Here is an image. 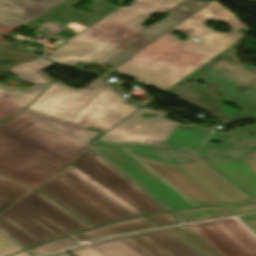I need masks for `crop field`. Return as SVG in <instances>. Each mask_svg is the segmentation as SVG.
<instances>
[{"label":"crop field","instance_id":"36","mask_svg":"<svg viewBox=\"0 0 256 256\" xmlns=\"http://www.w3.org/2000/svg\"><path fill=\"white\" fill-rule=\"evenodd\" d=\"M90 85H92L95 89H110L100 79Z\"/></svg>","mask_w":256,"mask_h":256},{"label":"crop field","instance_id":"10","mask_svg":"<svg viewBox=\"0 0 256 256\" xmlns=\"http://www.w3.org/2000/svg\"><path fill=\"white\" fill-rule=\"evenodd\" d=\"M103 256H198L163 230L90 245Z\"/></svg>","mask_w":256,"mask_h":256},{"label":"crop field","instance_id":"4","mask_svg":"<svg viewBox=\"0 0 256 256\" xmlns=\"http://www.w3.org/2000/svg\"><path fill=\"white\" fill-rule=\"evenodd\" d=\"M183 1L134 0L130 7L117 9L46 58L68 65L91 64L143 29L141 25L153 12L170 11Z\"/></svg>","mask_w":256,"mask_h":256},{"label":"crop field","instance_id":"33","mask_svg":"<svg viewBox=\"0 0 256 256\" xmlns=\"http://www.w3.org/2000/svg\"><path fill=\"white\" fill-rule=\"evenodd\" d=\"M242 161L256 173V151L250 153L246 158L242 159Z\"/></svg>","mask_w":256,"mask_h":256},{"label":"crop field","instance_id":"27","mask_svg":"<svg viewBox=\"0 0 256 256\" xmlns=\"http://www.w3.org/2000/svg\"><path fill=\"white\" fill-rule=\"evenodd\" d=\"M78 244H80V243H78L77 241L73 240L70 237H67V238L55 240L53 242H50V243L41 245L39 247L30 249V251L32 253H34L36 256H38V255L53 252V251H56V250L71 247V246L78 245Z\"/></svg>","mask_w":256,"mask_h":256},{"label":"crop field","instance_id":"22","mask_svg":"<svg viewBox=\"0 0 256 256\" xmlns=\"http://www.w3.org/2000/svg\"><path fill=\"white\" fill-rule=\"evenodd\" d=\"M77 92L61 84H52L28 109L46 114Z\"/></svg>","mask_w":256,"mask_h":256},{"label":"crop field","instance_id":"26","mask_svg":"<svg viewBox=\"0 0 256 256\" xmlns=\"http://www.w3.org/2000/svg\"><path fill=\"white\" fill-rule=\"evenodd\" d=\"M99 91H81L49 112L47 115L69 121L93 98Z\"/></svg>","mask_w":256,"mask_h":256},{"label":"crop field","instance_id":"14","mask_svg":"<svg viewBox=\"0 0 256 256\" xmlns=\"http://www.w3.org/2000/svg\"><path fill=\"white\" fill-rule=\"evenodd\" d=\"M189 226L226 256H256V239L235 219Z\"/></svg>","mask_w":256,"mask_h":256},{"label":"crop field","instance_id":"38","mask_svg":"<svg viewBox=\"0 0 256 256\" xmlns=\"http://www.w3.org/2000/svg\"><path fill=\"white\" fill-rule=\"evenodd\" d=\"M51 256H68V255L66 253L62 252V253L54 254Z\"/></svg>","mask_w":256,"mask_h":256},{"label":"crop field","instance_id":"9","mask_svg":"<svg viewBox=\"0 0 256 256\" xmlns=\"http://www.w3.org/2000/svg\"><path fill=\"white\" fill-rule=\"evenodd\" d=\"M71 165L143 215L165 210L90 151H85Z\"/></svg>","mask_w":256,"mask_h":256},{"label":"crop field","instance_id":"32","mask_svg":"<svg viewBox=\"0 0 256 256\" xmlns=\"http://www.w3.org/2000/svg\"><path fill=\"white\" fill-rule=\"evenodd\" d=\"M68 252L71 253L73 256H101L88 246L69 250Z\"/></svg>","mask_w":256,"mask_h":256},{"label":"crop field","instance_id":"39","mask_svg":"<svg viewBox=\"0 0 256 256\" xmlns=\"http://www.w3.org/2000/svg\"><path fill=\"white\" fill-rule=\"evenodd\" d=\"M118 8H119V7H118ZM116 9H117V8H116ZM116 9H115V10H116ZM113 11H114V10H113ZM113 11H111V12H113ZM111 12H110V13H111ZM110 13H108V14H110ZM108 14H107V15H108ZM107 15H105V16H107ZM105 16H103V17H105ZM103 17H102V18H103ZM102 18H101V19H102ZM99 20H100V19H99ZM96 22H97V21H96ZM94 23H95V22H94ZM94 23H92V24H94ZM92 24H91V25H92ZM91 25H89V26H91ZM89 26H88V27H89ZM88 27H86L85 29H87ZM85 29H83L82 31H84ZM82 31H80L79 33H81ZM79 33H77V34H79Z\"/></svg>","mask_w":256,"mask_h":256},{"label":"crop field","instance_id":"31","mask_svg":"<svg viewBox=\"0 0 256 256\" xmlns=\"http://www.w3.org/2000/svg\"><path fill=\"white\" fill-rule=\"evenodd\" d=\"M200 210H202L210 218H215V217H221V216H228V215L236 214L231 209H226V208H210V207H206V208H202Z\"/></svg>","mask_w":256,"mask_h":256},{"label":"crop field","instance_id":"28","mask_svg":"<svg viewBox=\"0 0 256 256\" xmlns=\"http://www.w3.org/2000/svg\"><path fill=\"white\" fill-rule=\"evenodd\" d=\"M171 212L173 214H175L177 217H179L184 222L209 218L203 212H201L198 208L176 210V211H171Z\"/></svg>","mask_w":256,"mask_h":256},{"label":"crop field","instance_id":"37","mask_svg":"<svg viewBox=\"0 0 256 256\" xmlns=\"http://www.w3.org/2000/svg\"><path fill=\"white\" fill-rule=\"evenodd\" d=\"M12 256H31V255H29L27 252L23 251V252H20L18 254L12 255Z\"/></svg>","mask_w":256,"mask_h":256},{"label":"crop field","instance_id":"15","mask_svg":"<svg viewBox=\"0 0 256 256\" xmlns=\"http://www.w3.org/2000/svg\"><path fill=\"white\" fill-rule=\"evenodd\" d=\"M112 92L100 91L70 121L104 132L138 109L124 104L125 99Z\"/></svg>","mask_w":256,"mask_h":256},{"label":"crop field","instance_id":"35","mask_svg":"<svg viewBox=\"0 0 256 256\" xmlns=\"http://www.w3.org/2000/svg\"><path fill=\"white\" fill-rule=\"evenodd\" d=\"M232 210L235 211L237 214L256 211V203Z\"/></svg>","mask_w":256,"mask_h":256},{"label":"crop field","instance_id":"11","mask_svg":"<svg viewBox=\"0 0 256 256\" xmlns=\"http://www.w3.org/2000/svg\"><path fill=\"white\" fill-rule=\"evenodd\" d=\"M196 206H225L149 145L117 142ZM227 207V206H225Z\"/></svg>","mask_w":256,"mask_h":256},{"label":"crop field","instance_id":"13","mask_svg":"<svg viewBox=\"0 0 256 256\" xmlns=\"http://www.w3.org/2000/svg\"><path fill=\"white\" fill-rule=\"evenodd\" d=\"M209 2L211 1L186 0L171 10L170 15L164 21L153 25L146 31L141 30L91 65H118ZM117 58L121 61H117Z\"/></svg>","mask_w":256,"mask_h":256},{"label":"crop field","instance_id":"29","mask_svg":"<svg viewBox=\"0 0 256 256\" xmlns=\"http://www.w3.org/2000/svg\"><path fill=\"white\" fill-rule=\"evenodd\" d=\"M19 251L23 250L0 234V256H7Z\"/></svg>","mask_w":256,"mask_h":256},{"label":"crop field","instance_id":"8","mask_svg":"<svg viewBox=\"0 0 256 256\" xmlns=\"http://www.w3.org/2000/svg\"><path fill=\"white\" fill-rule=\"evenodd\" d=\"M151 146L228 207L254 202V200L197 158L189 148Z\"/></svg>","mask_w":256,"mask_h":256},{"label":"crop field","instance_id":"16","mask_svg":"<svg viewBox=\"0 0 256 256\" xmlns=\"http://www.w3.org/2000/svg\"><path fill=\"white\" fill-rule=\"evenodd\" d=\"M197 154L256 199V174L240 160L249 153L200 149Z\"/></svg>","mask_w":256,"mask_h":256},{"label":"crop field","instance_id":"6","mask_svg":"<svg viewBox=\"0 0 256 256\" xmlns=\"http://www.w3.org/2000/svg\"><path fill=\"white\" fill-rule=\"evenodd\" d=\"M88 229L92 228L35 190L0 214V231L26 249Z\"/></svg>","mask_w":256,"mask_h":256},{"label":"crop field","instance_id":"34","mask_svg":"<svg viewBox=\"0 0 256 256\" xmlns=\"http://www.w3.org/2000/svg\"><path fill=\"white\" fill-rule=\"evenodd\" d=\"M256 233V215L241 218Z\"/></svg>","mask_w":256,"mask_h":256},{"label":"crop field","instance_id":"7","mask_svg":"<svg viewBox=\"0 0 256 256\" xmlns=\"http://www.w3.org/2000/svg\"><path fill=\"white\" fill-rule=\"evenodd\" d=\"M92 149L168 210L195 206L116 142L98 141Z\"/></svg>","mask_w":256,"mask_h":256},{"label":"crop field","instance_id":"20","mask_svg":"<svg viewBox=\"0 0 256 256\" xmlns=\"http://www.w3.org/2000/svg\"><path fill=\"white\" fill-rule=\"evenodd\" d=\"M151 227H156L153 223L147 220L145 217L132 219L128 221L114 223L102 228L82 232L76 235H73L79 241H90L92 239L121 234L125 232L147 229Z\"/></svg>","mask_w":256,"mask_h":256},{"label":"crop field","instance_id":"30","mask_svg":"<svg viewBox=\"0 0 256 256\" xmlns=\"http://www.w3.org/2000/svg\"><path fill=\"white\" fill-rule=\"evenodd\" d=\"M148 218H150L160 226L178 223V221L167 212L148 216Z\"/></svg>","mask_w":256,"mask_h":256},{"label":"crop field","instance_id":"2","mask_svg":"<svg viewBox=\"0 0 256 256\" xmlns=\"http://www.w3.org/2000/svg\"><path fill=\"white\" fill-rule=\"evenodd\" d=\"M208 20H222L233 29L231 33L215 32L205 26ZM240 29L251 31L232 12L213 1L135 53L116 70L121 71L118 74L138 79V83L165 91L242 38L244 35L238 33ZM174 30L188 40L178 41L171 35ZM193 37L200 41L191 40Z\"/></svg>","mask_w":256,"mask_h":256},{"label":"crop field","instance_id":"25","mask_svg":"<svg viewBox=\"0 0 256 256\" xmlns=\"http://www.w3.org/2000/svg\"><path fill=\"white\" fill-rule=\"evenodd\" d=\"M33 189L0 175V213Z\"/></svg>","mask_w":256,"mask_h":256},{"label":"crop field","instance_id":"17","mask_svg":"<svg viewBox=\"0 0 256 256\" xmlns=\"http://www.w3.org/2000/svg\"><path fill=\"white\" fill-rule=\"evenodd\" d=\"M80 1L81 0H68L40 17H43L77 33L117 7L108 3L107 0H90L93 5L86 7L87 9L93 11V13L86 14L71 8ZM96 16L98 17L96 18Z\"/></svg>","mask_w":256,"mask_h":256},{"label":"crop field","instance_id":"23","mask_svg":"<svg viewBox=\"0 0 256 256\" xmlns=\"http://www.w3.org/2000/svg\"><path fill=\"white\" fill-rule=\"evenodd\" d=\"M165 230L179 238L203 256H225L190 227L184 229L176 227Z\"/></svg>","mask_w":256,"mask_h":256},{"label":"crop field","instance_id":"12","mask_svg":"<svg viewBox=\"0 0 256 256\" xmlns=\"http://www.w3.org/2000/svg\"><path fill=\"white\" fill-rule=\"evenodd\" d=\"M145 113L158 115L155 118L145 119L141 116ZM167 115L168 113L143 108L108 131L99 140L162 145L178 124L164 119Z\"/></svg>","mask_w":256,"mask_h":256},{"label":"crop field","instance_id":"1","mask_svg":"<svg viewBox=\"0 0 256 256\" xmlns=\"http://www.w3.org/2000/svg\"><path fill=\"white\" fill-rule=\"evenodd\" d=\"M98 135L26 109L0 123V172L36 188L74 161Z\"/></svg>","mask_w":256,"mask_h":256},{"label":"crop field","instance_id":"19","mask_svg":"<svg viewBox=\"0 0 256 256\" xmlns=\"http://www.w3.org/2000/svg\"><path fill=\"white\" fill-rule=\"evenodd\" d=\"M46 86H35L22 91L0 84V121L28 105Z\"/></svg>","mask_w":256,"mask_h":256},{"label":"crop field","instance_id":"24","mask_svg":"<svg viewBox=\"0 0 256 256\" xmlns=\"http://www.w3.org/2000/svg\"><path fill=\"white\" fill-rule=\"evenodd\" d=\"M53 64L54 63L52 62L38 58L28 64H21L19 66L11 68L9 69V71L28 83H49L50 81H52V79L44 75L42 70Z\"/></svg>","mask_w":256,"mask_h":256},{"label":"crop field","instance_id":"3","mask_svg":"<svg viewBox=\"0 0 256 256\" xmlns=\"http://www.w3.org/2000/svg\"><path fill=\"white\" fill-rule=\"evenodd\" d=\"M239 45L236 42L166 92L208 111L225 125L247 118L256 119V68L241 65L235 56V48ZM188 80L194 84L185 83ZM196 81L204 82L206 87L197 85ZM219 100L238 106L242 113L227 108ZM209 141H222V145H212ZM202 148L252 152L256 150V126L239 128L226 135L213 132Z\"/></svg>","mask_w":256,"mask_h":256},{"label":"crop field","instance_id":"5","mask_svg":"<svg viewBox=\"0 0 256 256\" xmlns=\"http://www.w3.org/2000/svg\"><path fill=\"white\" fill-rule=\"evenodd\" d=\"M36 189L94 227L141 216L71 165Z\"/></svg>","mask_w":256,"mask_h":256},{"label":"crop field","instance_id":"18","mask_svg":"<svg viewBox=\"0 0 256 256\" xmlns=\"http://www.w3.org/2000/svg\"><path fill=\"white\" fill-rule=\"evenodd\" d=\"M64 0H0V23L26 24ZM24 14H18L17 11Z\"/></svg>","mask_w":256,"mask_h":256},{"label":"crop field","instance_id":"21","mask_svg":"<svg viewBox=\"0 0 256 256\" xmlns=\"http://www.w3.org/2000/svg\"><path fill=\"white\" fill-rule=\"evenodd\" d=\"M209 132L210 130L192 125L178 124L163 145L189 147L195 152Z\"/></svg>","mask_w":256,"mask_h":256}]
</instances>
